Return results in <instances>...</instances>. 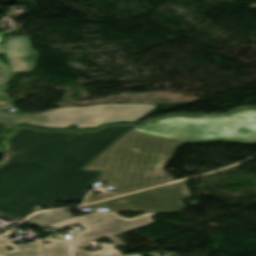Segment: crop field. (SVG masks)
Here are the masks:
<instances>
[{
  "instance_id": "1",
  "label": "crop field",
  "mask_w": 256,
  "mask_h": 256,
  "mask_svg": "<svg viewBox=\"0 0 256 256\" xmlns=\"http://www.w3.org/2000/svg\"><path fill=\"white\" fill-rule=\"evenodd\" d=\"M131 128L113 124L97 131L70 132L20 127L10 132L3 151H21L0 166V214L20 220L36 205L83 201L102 171L79 169Z\"/></svg>"
},
{
  "instance_id": "2",
  "label": "crop field",
  "mask_w": 256,
  "mask_h": 256,
  "mask_svg": "<svg viewBox=\"0 0 256 256\" xmlns=\"http://www.w3.org/2000/svg\"><path fill=\"white\" fill-rule=\"evenodd\" d=\"M183 143L130 131L82 170H103L95 182L114 186V193L89 194L87 202L114 197L173 180L163 165ZM119 175V177H115Z\"/></svg>"
},
{
  "instance_id": "3",
  "label": "crop field",
  "mask_w": 256,
  "mask_h": 256,
  "mask_svg": "<svg viewBox=\"0 0 256 256\" xmlns=\"http://www.w3.org/2000/svg\"><path fill=\"white\" fill-rule=\"evenodd\" d=\"M132 130L190 143L229 141L256 145V109L212 117L165 116L135 124Z\"/></svg>"
},
{
  "instance_id": "4",
  "label": "crop field",
  "mask_w": 256,
  "mask_h": 256,
  "mask_svg": "<svg viewBox=\"0 0 256 256\" xmlns=\"http://www.w3.org/2000/svg\"><path fill=\"white\" fill-rule=\"evenodd\" d=\"M143 104H107L90 107H64L37 115L0 111V123L31 124L49 128L99 127L111 122H135L155 109Z\"/></svg>"
},
{
  "instance_id": "5",
  "label": "crop field",
  "mask_w": 256,
  "mask_h": 256,
  "mask_svg": "<svg viewBox=\"0 0 256 256\" xmlns=\"http://www.w3.org/2000/svg\"><path fill=\"white\" fill-rule=\"evenodd\" d=\"M156 214L147 213L131 219L118 216L116 212H97L82 217H72L61 222L49 225L52 228H61L69 224H80L86 228L76 233L72 240L73 246H78L102 237H109L114 244L100 243L101 251L88 252L81 249H73L75 256H121V252L115 250L114 246L126 245L121 240L113 237L115 235L153 224L152 216Z\"/></svg>"
},
{
  "instance_id": "6",
  "label": "crop field",
  "mask_w": 256,
  "mask_h": 256,
  "mask_svg": "<svg viewBox=\"0 0 256 256\" xmlns=\"http://www.w3.org/2000/svg\"><path fill=\"white\" fill-rule=\"evenodd\" d=\"M188 197H190V193L185 183L179 182L84 207L109 208V210H147L169 212L184 208L180 199Z\"/></svg>"
},
{
  "instance_id": "7",
  "label": "crop field",
  "mask_w": 256,
  "mask_h": 256,
  "mask_svg": "<svg viewBox=\"0 0 256 256\" xmlns=\"http://www.w3.org/2000/svg\"><path fill=\"white\" fill-rule=\"evenodd\" d=\"M4 50L11 61L14 73L35 69L39 53L31 48L29 37L26 35L8 38Z\"/></svg>"
},
{
  "instance_id": "8",
  "label": "crop field",
  "mask_w": 256,
  "mask_h": 256,
  "mask_svg": "<svg viewBox=\"0 0 256 256\" xmlns=\"http://www.w3.org/2000/svg\"><path fill=\"white\" fill-rule=\"evenodd\" d=\"M10 245L14 251H8L5 246ZM0 256H44L41 239L25 245L13 244L11 241L0 237Z\"/></svg>"
},
{
  "instance_id": "9",
  "label": "crop field",
  "mask_w": 256,
  "mask_h": 256,
  "mask_svg": "<svg viewBox=\"0 0 256 256\" xmlns=\"http://www.w3.org/2000/svg\"><path fill=\"white\" fill-rule=\"evenodd\" d=\"M45 256H72L70 244L66 240H56L53 236L42 239ZM51 241V244L46 242Z\"/></svg>"
},
{
  "instance_id": "10",
  "label": "crop field",
  "mask_w": 256,
  "mask_h": 256,
  "mask_svg": "<svg viewBox=\"0 0 256 256\" xmlns=\"http://www.w3.org/2000/svg\"><path fill=\"white\" fill-rule=\"evenodd\" d=\"M73 214L64 210L44 212L30 217L27 221L39 226L49 225L60 220L72 217Z\"/></svg>"
},
{
  "instance_id": "11",
  "label": "crop field",
  "mask_w": 256,
  "mask_h": 256,
  "mask_svg": "<svg viewBox=\"0 0 256 256\" xmlns=\"http://www.w3.org/2000/svg\"><path fill=\"white\" fill-rule=\"evenodd\" d=\"M11 75L10 69L6 63L0 61V107L10 105L9 99L4 95L3 86L7 83Z\"/></svg>"
},
{
  "instance_id": "12",
  "label": "crop field",
  "mask_w": 256,
  "mask_h": 256,
  "mask_svg": "<svg viewBox=\"0 0 256 256\" xmlns=\"http://www.w3.org/2000/svg\"><path fill=\"white\" fill-rule=\"evenodd\" d=\"M17 126L14 125H3L0 124V138L3 136V134L7 131V130H12L14 128H16ZM1 149V148H0Z\"/></svg>"
},
{
  "instance_id": "13",
  "label": "crop field",
  "mask_w": 256,
  "mask_h": 256,
  "mask_svg": "<svg viewBox=\"0 0 256 256\" xmlns=\"http://www.w3.org/2000/svg\"><path fill=\"white\" fill-rule=\"evenodd\" d=\"M126 256H140V254L126 255Z\"/></svg>"
},
{
  "instance_id": "14",
  "label": "crop field",
  "mask_w": 256,
  "mask_h": 256,
  "mask_svg": "<svg viewBox=\"0 0 256 256\" xmlns=\"http://www.w3.org/2000/svg\"><path fill=\"white\" fill-rule=\"evenodd\" d=\"M0 53H2V45L0 44Z\"/></svg>"
}]
</instances>
